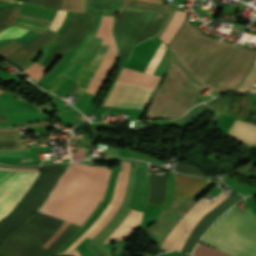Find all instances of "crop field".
I'll return each instance as SVG.
<instances>
[{
	"mask_svg": "<svg viewBox=\"0 0 256 256\" xmlns=\"http://www.w3.org/2000/svg\"><path fill=\"white\" fill-rule=\"evenodd\" d=\"M8 25L0 24V30L7 27Z\"/></svg>",
	"mask_w": 256,
	"mask_h": 256,
	"instance_id": "obj_40",
	"label": "crop field"
},
{
	"mask_svg": "<svg viewBox=\"0 0 256 256\" xmlns=\"http://www.w3.org/2000/svg\"><path fill=\"white\" fill-rule=\"evenodd\" d=\"M250 170L256 174V167Z\"/></svg>",
	"mask_w": 256,
	"mask_h": 256,
	"instance_id": "obj_41",
	"label": "crop field"
},
{
	"mask_svg": "<svg viewBox=\"0 0 256 256\" xmlns=\"http://www.w3.org/2000/svg\"><path fill=\"white\" fill-rule=\"evenodd\" d=\"M56 33L46 29L42 34H40L35 40L28 43L24 47L19 50L13 52L7 57L3 58L14 65L22 68L25 64H27L31 59L36 57V51L42 47L47 42L51 41L56 37Z\"/></svg>",
	"mask_w": 256,
	"mask_h": 256,
	"instance_id": "obj_12",
	"label": "crop field"
},
{
	"mask_svg": "<svg viewBox=\"0 0 256 256\" xmlns=\"http://www.w3.org/2000/svg\"><path fill=\"white\" fill-rule=\"evenodd\" d=\"M100 18L101 16L97 17V21L92 32H88L75 53L63 66V68L47 82V84L53 86L62 76L74 81L75 78L80 74L101 41V39L93 37L99 26Z\"/></svg>",
	"mask_w": 256,
	"mask_h": 256,
	"instance_id": "obj_9",
	"label": "crop field"
},
{
	"mask_svg": "<svg viewBox=\"0 0 256 256\" xmlns=\"http://www.w3.org/2000/svg\"><path fill=\"white\" fill-rule=\"evenodd\" d=\"M175 170L180 171L182 173L190 174V175H196V176L204 175L201 171H199L197 168H195L192 165L176 163Z\"/></svg>",
	"mask_w": 256,
	"mask_h": 256,
	"instance_id": "obj_29",
	"label": "crop field"
},
{
	"mask_svg": "<svg viewBox=\"0 0 256 256\" xmlns=\"http://www.w3.org/2000/svg\"><path fill=\"white\" fill-rule=\"evenodd\" d=\"M187 12H178L176 11L174 14L173 19L171 22L168 24L165 32L161 36V40L165 43H169L173 35L177 32L181 24L183 23L185 16Z\"/></svg>",
	"mask_w": 256,
	"mask_h": 256,
	"instance_id": "obj_22",
	"label": "crop field"
},
{
	"mask_svg": "<svg viewBox=\"0 0 256 256\" xmlns=\"http://www.w3.org/2000/svg\"><path fill=\"white\" fill-rule=\"evenodd\" d=\"M201 242L232 256H256V217L248 208H235L223 214L204 235Z\"/></svg>",
	"mask_w": 256,
	"mask_h": 256,
	"instance_id": "obj_4",
	"label": "crop field"
},
{
	"mask_svg": "<svg viewBox=\"0 0 256 256\" xmlns=\"http://www.w3.org/2000/svg\"><path fill=\"white\" fill-rule=\"evenodd\" d=\"M160 77L129 69H122L117 81L156 85Z\"/></svg>",
	"mask_w": 256,
	"mask_h": 256,
	"instance_id": "obj_20",
	"label": "crop field"
},
{
	"mask_svg": "<svg viewBox=\"0 0 256 256\" xmlns=\"http://www.w3.org/2000/svg\"><path fill=\"white\" fill-rule=\"evenodd\" d=\"M6 1L13 2V3H16V4H20V5H21V3H22V2L16 1V0H6ZM21 1H25V2L31 3V0H21Z\"/></svg>",
	"mask_w": 256,
	"mask_h": 256,
	"instance_id": "obj_38",
	"label": "crop field"
},
{
	"mask_svg": "<svg viewBox=\"0 0 256 256\" xmlns=\"http://www.w3.org/2000/svg\"><path fill=\"white\" fill-rule=\"evenodd\" d=\"M119 0H87L85 13L112 15L118 11Z\"/></svg>",
	"mask_w": 256,
	"mask_h": 256,
	"instance_id": "obj_18",
	"label": "crop field"
},
{
	"mask_svg": "<svg viewBox=\"0 0 256 256\" xmlns=\"http://www.w3.org/2000/svg\"><path fill=\"white\" fill-rule=\"evenodd\" d=\"M13 10L14 8H4V10L0 14V22L6 24Z\"/></svg>",
	"mask_w": 256,
	"mask_h": 256,
	"instance_id": "obj_33",
	"label": "crop field"
},
{
	"mask_svg": "<svg viewBox=\"0 0 256 256\" xmlns=\"http://www.w3.org/2000/svg\"><path fill=\"white\" fill-rule=\"evenodd\" d=\"M120 7L122 8H131V9H138V10H151V11H162L170 13L169 17L165 21L164 25L160 29L159 33L156 37L159 38L163 30L165 29L166 25L170 22L175 10L181 11L182 7L177 6H170L164 4H155L144 2L140 0H121Z\"/></svg>",
	"mask_w": 256,
	"mask_h": 256,
	"instance_id": "obj_13",
	"label": "crop field"
},
{
	"mask_svg": "<svg viewBox=\"0 0 256 256\" xmlns=\"http://www.w3.org/2000/svg\"><path fill=\"white\" fill-rule=\"evenodd\" d=\"M230 194L223 191L212 203L208 204L203 200H199L175 225L171 233L166 237L161 249L165 251L181 250L191 231L197 222L212 208L222 203ZM199 223V222H198Z\"/></svg>",
	"mask_w": 256,
	"mask_h": 256,
	"instance_id": "obj_8",
	"label": "crop field"
},
{
	"mask_svg": "<svg viewBox=\"0 0 256 256\" xmlns=\"http://www.w3.org/2000/svg\"><path fill=\"white\" fill-rule=\"evenodd\" d=\"M3 10V7L0 8V12Z\"/></svg>",
	"mask_w": 256,
	"mask_h": 256,
	"instance_id": "obj_43",
	"label": "crop field"
},
{
	"mask_svg": "<svg viewBox=\"0 0 256 256\" xmlns=\"http://www.w3.org/2000/svg\"><path fill=\"white\" fill-rule=\"evenodd\" d=\"M168 46L185 71L203 85L236 48V45L200 34L187 19Z\"/></svg>",
	"mask_w": 256,
	"mask_h": 256,
	"instance_id": "obj_3",
	"label": "crop field"
},
{
	"mask_svg": "<svg viewBox=\"0 0 256 256\" xmlns=\"http://www.w3.org/2000/svg\"><path fill=\"white\" fill-rule=\"evenodd\" d=\"M121 174V168H120V173L118 175V179H119V176ZM118 179H117V182H118ZM116 186H117V183H116ZM115 190H116V187H115ZM114 194H115V191H114ZM113 198H114V195H113ZM112 198V200H113ZM112 200L109 204V206L106 208V210L97 218V220L92 224V226L87 230L85 231L68 249H66L65 251L71 249V248H75L80 242H82L107 216L108 214L111 212L112 208H113V205H111L112 203Z\"/></svg>",
	"mask_w": 256,
	"mask_h": 256,
	"instance_id": "obj_24",
	"label": "crop field"
},
{
	"mask_svg": "<svg viewBox=\"0 0 256 256\" xmlns=\"http://www.w3.org/2000/svg\"><path fill=\"white\" fill-rule=\"evenodd\" d=\"M114 16H102L100 27L97 30L95 37L103 39L101 42L111 45L105 54L101 66L93 78L89 82V87L87 92L96 94L99 86L104 80L116 54H117V46L115 40L113 38L111 29L113 25Z\"/></svg>",
	"mask_w": 256,
	"mask_h": 256,
	"instance_id": "obj_10",
	"label": "crop field"
},
{
	"mask_svg": "<svg viewBox=\"0 0 256 256\" xmlns=\"http://www.w3.org/2000/svg\"><path fill=\"white\" fill-rule=\"evenodd\" d=\"M111 170L71 164L41 212L81 225L103 199Z\"/></svg>",
	"mask_w": 256,
	"mask_h": 256,
	"instance_id": "obj_2",
	"label": "crop field"
},
{
	"mask_svg": "<svg viewBox=\"0 0 256 256\" xmlns=\"http://www.w3.org/2000/svg\"><path fill=\"white\" fill-rule=\"evenodd\" d=\"M256 81V65L253 67V69L250 71V73L247 75L244 82L236 89L241 91H249L253 84Z\"/></svg>",
	"mask_w": 256,
	"mask_h": 256,
	"instance_id": "obj_26",
	"label": "crop field"
},
{
	"mask_svg": "<svg viewBox=\"0 0 256 256\" xmlns=\"http://www.w3.org/2000/svg\"><path fill=\"white\" fill-rule=\"evenodd\" d=\"M54 256H79V254L76 252L75 249H73L71 251L60 253V254H56Z\"/></svg>",
	"mask_w": 256,
	"mask_h": 256,
	"instance_id": "obj_35",
	"label": "crop field"
},
{
	"mask_svg": "<svg viewBox=\"0 0 256 256\" xmlns=\"http://www.w3.org/2000/svg\"><path fill=\"white\" fill-rule=\"evenodd\" d=\"M19 9L15 8L14 12L12 13L10 19L8 20L7 24L11 25L12 21L14 20V18L16 17L17 13H18Z\"/></svg>",
	"mask_w": 256,
	"mask_h": 256,
	"instance_id": "obj_36",
	"label": "crop field"
},
{
	"mask_svg": "<svg viewBox=\"0 0 256 256\" xmlns=\"http://www.w3.org/2000/svg\"><path fill=\"white\" fill-rule=\"evenodd\" d=\"M43 2H44V0H33L32 1L33 4L41 5V6H43Z\"/></svg>",
	"mask_w": 256,
	"mask_h": 256,
	"instance_id": "obj_39",
	"label": "crop field"
},
{
	"mask_svg": "<svg viewBox=\"0 0 256 256\" xmlns=\"http://www.w3.org/2000/svg\"><path fill=\"white\" fill-rule=\"evenodd\" d=\"M256 61V51L238 46L230 61L205 85L212 91H229L239 85Z\"/></svg>",
	"mask_w": 256,
	"mask_h": 256,
	"instance_id": "obj_7",
	"label": "crop field"
},
{
	"mask_svg": "<svg viewBox=\"0 0 256 256\" xmlns=\"http://www.w3.org/2000/svg\"><path fill=\"white\" fill-rule=\"evenodd\" d=\"M206 182L207 180L177 176L174 194L194 197Z\"/></svg>",
	"mask_w": 256,
	"mask_h": 256,
	"instance_id": "obj_17",
	"label": "crop field"
},
{
	"mask_svg": "<svg viewBox=\"0 0 256 256\" xmlns=\"http://www.w3.org/2000/svg\"><path fill=\"white\" fill-rule=\"evenodd\" d=\"M67 165L38 169L0 168V246L7 237L22 226L45 202Z\"/></svg>",
	"mask_w": 256,
	"mask_h": 256,
	"instance_id": "obj_1",
	"label": "crop field"
},
{
	"mask_svg": "<svg viewBox=\"0 0 256 256\" xmlns=\"http://www.w3.org/2000/svg\"><path fill=\"white\" fill-rule=\"evenodd\" d=\"M240 199L239 196L233 194L228 197L222 204L218 205L210 212H208L195 226V229L191 233L188 241L186 242L183 251L191 253L192 249L196 245L197 241L203 235V233L209 228V226L221 215L223 214L228 208H230L233 204L238 202Z\"/></svg>",
	"mask_w": 256,
	"mask_h": 256,
	"instance_id": "obj_11",
	"label": "crop field"
},
{
	"mask_svg": "<svg viewBox=\"0 0 256 256\" xmlns=\"http://www.w3.org/2000/svg\"><path fill=\"white\" fill-rule=\"evenodd\" d=\"M26 32H28L27 29L10 27L0 33V39L21 37Z\"/></svg>",
	"mask_w": 256,
	"mask_h": 256,
	"instance_id": "obj_28",
	"label": "crop field"
},
{
	"mask_svg": "<svg viewBox=\"0 0 256 256\" xmlns=\"http://www.w3.org/2000/svg\"><path fill=\"white\" fill-rule=\"evenodd\" d=\"M68 225L69 223L65 222L63 226L43 245V247L47 248L52 242H54Z\"/></svg>",
	"mask_w": 256,
	"mask_h": 256,
	"instance_id": "obj_31",
	"label": "crop field"
},
{
	"mask_svg": "<svg viewBox=\"0 0 256 256\" xmlns=\"http://www.w3.org/2000/svg\"><path fill=\"white\" fill-rule=\"evenodd\" d=\"M67 11H57V14L52 22V24L49 26L50 29H53L57 32V30L60 28L62 21L65 17Z\"/></svg>",
	"mask_w": 256,
	"mask_h": 256,
	"instance_id": "obj_30",
	"label": "crop field"
},
{
	"mask_svg": "<svg viewBox=\"0 0 256 256\" xmlns=\"http://www.w3.org/2000/svg\"><path fill=\"white\" fill-rule=\"evenodd\" d=\"M65 80V78H61L52 88L51 90L55 91L59 86L60 84Z\"/></svg>",
	"mask_w": 256,
	"mask_h": 256,
	"instance_id": "obj_37",
	"label": "crop field"
},
{
	"mask_svg": "<svg viewBox=\"0 0 256 256\" xmlns=\"http://www.w3.org/2000/svg\"><path fill=\"white\" fill-rule=\"evenodd\" d=\"M129 168H130V165L128 163L123 162V164H122V174H121V177L119 179V183H118V187H117V191H116L114 201L112 203L115 206H114L112 212L110 213V215L104 220V222L99 227H97L89 235V237L93 238L111 220V218L114 216V214L116 213V211L120 207V205L123 201V197H124V193H125V189H126V185H127V181H128Z\"/></svg>",
	"mask_w": 256,
	"mask_h": 256,
	"instance_id": "obj_15",
	"label": "crop field"
},
{
	"mask_svg": "<svg viewBox=\"0 0 256 256\" xmlns=\"http://www.w3.org/2000/svg\"><path fill=\"white\" fill-rule=\"evenodd\" d=\"M165 49L166 48H165L164 44L162 43L161 46L158 48L156 54L154 55V57L152 58V60L148 64V66L145 70L146 73H150V74L153 73V71L155 70L158 62L160 61Z\"/></svg>",
	"mask_w": 256,
	"mask_h": 256,
	"instance_id": "obj_27",
	"label": "crop field"
},
{
	"mask_svg": "<svg viewBox=\"0 0 256 256\" xmlns=\"http://www.w3.org/2000/svg\"><path fill=\"white\" fill-rule=\"evenodd\" d=\"M193 254L196 256H230L200 243H198Z\"/></svg>",
	"mask_w": 256,
	"mask_h": 256,
	"instance_id": "obj_25",
	"label": "crop field"
},
{
	"mask_svg": "<svg viewBox=\"0 0 256 256\" xmlns=\"http://www.w3.org/2000/svg\"><path fill=\"white\" fill-rule=\"evenodd\" d=\"M84 148H78V153L75 155H71L72 160H79V159H84L85 155H83L84 153ZM76 153V152H75ZM74 154V153H73Z\"/></svg>",
	"mask_w": 256,
	"mask_h": 256,
	"instance_id": "obj_34",
	"label": "crop field"
},
{
	"mask_svg": "<svg viewBox=\"0 0 256 256\" xmlns=\"http://www.w3.org/2000/svg\"><path fill=\"white\" fill-rule=\"evenodd\" d=\"M256 147V146H255Z\"/></svg>",
	"mask_w": 256,
	"mask_h": 256,
	"instance_id": "obj_44",
	"label": "crop field"
},
{
	"mask_svg": "<svg viewBox=\"0 0 256 256\" xmlns=\"http://www.w3.org/2000/svg\"><path fill=\"white\" fill-rule=\"evenodd\" d=\"M0 256H8V255H5V254L0 253Z\"/></svg>",
	"mask_w": 256,
	"mask_h": 256,
	"instance_id": "obj_42",
	"label": "crop field"
},
{
	"mask_svg": "<svg viewBox=\"0 0 256 256\" xmlns=\"http://www.w3.org/2000/svg\"><path fill=\"white\" fill-rule=\"evenodd\" d=\"M44 6L61 10L62 0H45Z\"/></svg>",
	"mask_w": 256,
	"mask_h": 256,
	"instance_id": "obj_32",
	"label": "crop field"
},
{
	"mask_svg": "<svg viewBox=\"0 0 256 256\" xmlns=\"http://www.w3.org/2000/svg\"><path fill=\"white\" fill-rule=\"evenodd\" d=\"M96 16L97 15L73 12L64 32L60 36L58 35L53 43L76 50L77 46L87 32L91 31L95 23ZM61 46H58L41 65L49 68L50 65L67 50ZM42 66L34 62L32 65L26 68L24 72L32 77V79H36L38 81L47 70V68Z\"/></svg>",
	"mask_w": 256,
	"mask_h": 256,
	"instance_id": "obj_6",
	"label": "crop field"
},
{
	"mask_svg": "<svg viewBox=\"0 0 256 256\" xmlns=\"http://www.w3.org/2000/svg\"><path fill=\"white\" fill-rule=\"evenodd\" d=\"M61 220L37 212L30 223L43 227L51 232L59 225Z\"/></svg>",
	"mask_w": 256,
	"mask_h": 256,
	"instance_id": "obj_23",
	"label": "crop field"
},
{
	"mask_svg": "<svg viewBox=\"0 0 256 256\" xmlns=\"http://www.w3.org/2000/svg\"><path fill=\"white\" fill-rule=\"evenodd\" d=\"M49 23L50 20L18 14L12 25L33 29L41 33L48 27Z\"/></svg>",
	"mask_w": 256,
	"mask_h": 256,
	"instance_id": "obj_21",
	"label": "crop field"
},
{
	"mask_svg": "<svg viewBox=\"0 0 256 256\" xmlns=\"http://www.w3.org/2000/svg\"><path fill=\"white\" fill-rule=\"evenodd\" d=\"M142 214L141 212L130 210L123 223L103 243H109L114 239L125 240L140 223Z\"/></svg>",
	"mask_w": 256,
	"mask_h": 256,
	"instance_id": "obj_16",
	"label": "crop field"
},
{
	"mask_svg": "<svg viewBox=\"0 0 256 256\" xmlns=\"http://www.w3.org/2000/svg\"><path fill=\"white\" fill-rule=\"evenodd\" d=\"M204 89L194 83L170 56L166 77L157 90L145 117H179L193 105Z\"/></svg>",
	"mask_w": 256,
	"mask_h": 256,
	"instance_id": "obj_5",
	"label": "crop field"
},
{
	"mask_svg": "<svg viewBox=\"0 0 256 256\" xmlns=\"http://www.w3.org/2000/svg\"><path fill=\"white\" fill-rule=\"evenodd\" d=\"M108 46L100 44L97 51L89 61L88 65L84 69V71L80 74V76L77 78L76 82L79 83L80 87L76 91V93H79L83 95V93L86 91L88 87V81L91 79V77L94 75V73L97 71V69L100 66L101 60L107 50Z\"/></svg>",
	"mask_w": 256,
	"mask_h": 256,
	"instance_id": "obj_14",
	"label": "crop field"
},
{
	"mask_svg": "<svg viewBox=\"0 0 256 256\" xmlns=\"http://www.w3.org/2000/svg\"><path fill=\"white\" fill-rule=\"evenodd\" d=\"M228 133L252 144H256V125L241 122L236 119Z\"/></svg>",
	"mask_w": 256,
	"mask_h": 256,
	"instance_id": "obj_19",
	"label": "crop field"
}]
</instances>
